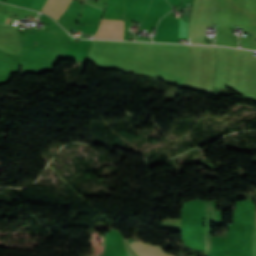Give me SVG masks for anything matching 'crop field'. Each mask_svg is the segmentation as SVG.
Segmentation results:
<instances>
[{
  "label": "crop field",
  "instance_id": "obj_1",
  "mask_svg": "<svg viewBox=\"0 0 256 256\" xmlns=\"http://www.w3.org/2000/svg\"><path fill=\"white\" fill-rule=\"evenodd\" d=\"M123 26L124 21L122 20H102L94 38L122 40Z\"/></svg>",
  "mask_w": 256,
  "mask_h": 256
},
{
  "label": "crop field",
  "instance_id": "obj_2",
  "mask_svg": "<svg viewBox=\"0 0 256 256\" xmlns=\"http://www.w3.org/2000/svg\"><path fill=\"white\" fill-rule=\"evenodd\" d=\"M131 244L132 248L140 255V256H154L157 254L164 253L161 247L146 245L142 243H138L135 241L128 240ZM157 256H171L166 253L157 255Z\"/></svg>",
  "mask_w": 256,
  "mask_h": 256
},
{
  "label": "crop field",
  "instance_id": "obj_3",
  "mask_svg": "<svg viewBox=\"0 0 256 256\" xmlns=\"http://www.w3.org/2000/svg\"><path fill=\"white\" fill-rule=\"evenodd\" d=\"M70 2L71 0H48L43 11L57 19L64 12Z\"/></svg>",
  "mask_w": 256,
  "mask_h": 256
},
{
  "label": "crop field",
  "instance_id": "obj_4",
  "mask_svg": "<svg viewBox=\"0 0 256 256\" xmlns=\"http://www.w3.org/2000/svg\"><path fill=\"white\" fill-rule=\"evenodd\" d=\"M12 21H13V19H12V18H10L8 23H10V24H11V23H12Z\"/></svg>",
  "mask_w": 256,
  "mask_h": 256
}]
</instances>
